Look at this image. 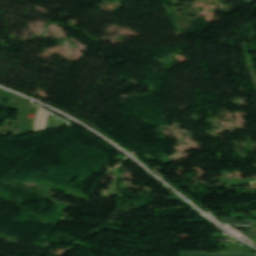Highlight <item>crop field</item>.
<instances>
[{"label": "crop field", "mask_w": 256, "mask_h": 256, "mask_svg": "<svg viewBox=\"0 0 256 256\" xmlns=\"http://www.w3.org/2000/svg\"><path fill=\"white\" fill-rule=\"evenodd\" d=\"M249 239H256V238H249Z\"/></svg>", "instance_id": "crop-field-11"}, {"label": "crop field", "mask_w": 256, "mask_h": 256, "mask_svg": "<svg viewBox=\"0 0 256 256\" xmlns=\"http://www.w3.org/2000/svg\"><path fill=\"white\" fill-rule=\"evenodd\" d=\"M251 241H253L256 244V240H251Z\"/></svg>", "instance_id": "crop-field-9"}, {"label": "crop field", "mask_w": 256, "mask_h": 256, "mask_svg": "<svg viewBox=\"0 0 256 256\" xmlns=\"http://www.w3.org/2000/svg\"><path fill=\"white\" fill-rule=\"evenodd\" d=\"M214 218H228V217H214ZM222 224H240L239 219H217Z\"/></svg>", "instance_id": "crop-field-3"}, {"label": "crop field", "mask_w": 256, "mask_h": 256, "mask_svg": "<svg viewBox=\"0 0 256 256\" xmlns=\"http://www.w3.org/2000/svg\"><path fill=\"white\" fill-rule=\"evenodd\" d=\"M221 253H251V252H249V251H221ZM182 254H220V253L183 252Z\"/></svg>", "instance_id": "crop-field-2"}, {"label": "crop field", "mask_w": 256, "mask_h": 256, "mask_svg": "<svg viewBox=\"0 0 256 256\" xmlns=\"http://www.w3.org/2000/svg\"><path fill=\"white\" fill-rule=\"evenodd\" d=\"M254 185H256V184H252V185H250V186H254Z\"/></svg>", "instance_id": "crop-field-10"}, {"label": "crop field", "mask_w": 256, "mask_h": 256, "mask_svg": "<svg viewBox=\"0 0 256 256\" xmlns=\"http://www.w3.org/2000/svg\"><path fill=\"white\" fill-rule=\"evenodd\" d=\"M181 256H256V255L250 254V255H181Z\"/></svg>", "instance_id": "crop-field-4"}, {"label": "crop field", "mask_w": 256, "mask_h": 256, "mask_svg": "<svg viewBox=\"0 0 256 256\" xmlns=\"http://www.w3.org/2000/svg\"><path fill=\"white\" fill-rule=\"evenodd\" d=\"M233 228H249V227H233Z\"/></svg>", "instance_id": "crop-field-8"}, {"label": "crop field", "mask_w": 256, "mask_h": 256, "mask_svg": "<svg viewBox=\"0 0 256 256\" xmlns=\"http://www.w3.org/2000/svg\"><path fill=\"white\" fill-rule=\"evenodd\" d=\"M243 1L252 4V3H254L256 0H243Z\"/></svg>", "instance_id": "crop-field-5"}, {"label": "crop field", "mask_w": 256, "mask_h": 256, "mask_svg": "<svg viewBox=\"0 0 256 256\" xmlns=\"http://www.w3.org/2000/svg\"><path fill=\"white\" fill-rule=\"evenodd\" d=\"M245 236H247V237H256V235H245Z\"/></svg>", "instance_id": "crop-field-7"}, {"label": "crop field", "mask_w": 256, "mask_h": 256, "mask_svg": "<svg viewBox=\"0 0 256 256\" xmlns=\"http://www.w3.org/2000/svg\"><path fill=\"white\" fill-rule=\"evenodd\" d=\"M49 114H50L49 112H47L41 108L39 109L34 130L40 131V130H44L46 128V123H47Z\"/></svg>", "instance_id": "crop-field-1"}, {"label": "crop field", "mask_w": 256, "mask_h": 256, "mask_svg": "<svg viewBox=\"0 0 256 256\" xmlns=\"http://www.w3.org/2000/svg\"><path fill=\"white\" fill-rule=\"evenodd\" d=\"M241 233H245V232H241ZM248 233L256 234V230L249 231Z\"/></svg>", "instance_id": "crop-field-6"}]
</instances>
